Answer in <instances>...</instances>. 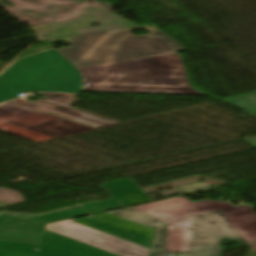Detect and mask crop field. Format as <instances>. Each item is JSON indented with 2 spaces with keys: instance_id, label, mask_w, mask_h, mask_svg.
<instances>
[{
  "instance_id": "crop-field-1",
  "label": "crop field",
  "mask_w": 256,
  "mask_h": 256,
  "mask_svg": "<svg viewBox=\"0 0 256 256\" xmlns=\"http://www.w3.org/2000/svg\"><path fill=\"white\" fill-rule=\"evenodd\" d=\"M109 213L155 229L149 256H221V238L244 245L256 242V215L249 205L191 203L180 196Z\"/></svg>"
},
{
  "instance_id": "crop-field-2",
  "label": "crop field",
  "mask_w": 256,
  "mask_h": 256,
  "mask_svg": "<svg viewBox=\"0 0 256 256\" xmlns=\"http://www.w3.org/2000/svg\"><path fill=\"white\" fill-rule=\"evenodd\" d=\"M86 91L205 95L190 88L178 53L78 69Z\"/></svg>"
},
{
  "instance_id": "crop-field-3",
  "label": "crop field",
  "mask_w": 256,
  "mask_h": 256,
  "mask_svg": "<svg viewBox=\"0 0 256 256\" xmlns=\"http://www.w3.org/2000/svg\"><path fill=\"white\" fill-rule=\"evenodd\" d=\"M143 28L152 34L135 36L129 32ZM60 40L72 41L69 49L58 51L76 68L184 50L153 25L57 38Z\"/></svg>"
},
{
  "instance_id": "crop-field-4",
  "label": "crop field",
  "mask_w": 256,
  "mask_h": 256,
  "mask_svg": "<svg viewBox=\"0 0 256 256\" xmlns=\"http://www.w3.org/2000/svg\"><path fill=\"white\" fill-rule=\"evenodd\" d=\"M79 71L56 49L18 60L0 75V102L35 90L77 93L82 89Z\"/></svg>"
},
{
  "instance_id": "crop-field-5",
  "label": "crop field",
  "mask_w": 256,
  "mask_h": 256,
  "mask_svg": "<svg viewBox=\"0 0 256 256\" xmlns=\"http://www.w3.org/2000/svg\"><path fill=\"white\" fill-rule=\"evenodd\" d=\"M101 186L113 198L30 219L0 214V239L39 243L46 224L151 200L130 178Z\"/></svg>"
},
{
  "instance_id": "crop-field-6",
  "label": "crop field",
  "mask_w": 256,
  "mask_h": 256,
  "mask_svg": "<svg viewBox=\"0 0 256 256\" xmlns=\"http://www.w3.org/2000/svg\"><path fill=\"white\" fill-rule=\"evenodd\" d=\"M38 248L39 251L34 249ZM0 256H118L60 234L44 231L39 244L0 240Z\"/></svg>"
},
{
  "instance_id": "crop-field-7",
  "label": "crop field",
  "mask_w": 256,
  "mask_h": 256,
  "mask_svg": "<svg viewBox=\"0 0 256 256\" xmlns=\"http://www.w3.org/2000/svg\"><path fill=\"white\" fill-rule=\"evenodd\" d=\"M0 120L34 130L53 138L93 129L18 107L13 101L0 105Z\"/></svg>"
},
{
  "instance_id": "crop-field-8",
  "label": "crop field",
  "mask_w": 256,
  "mask_h": 256,
  "mask_svg": "<svg viewBox=\"0 0 256 256\" xmlns=\"http://www.w3.org/2000/svg\"><path fill=\"white\" fill-rule=\"evenodd\" d=\"M46 229L121 256H128L131 253L136 256H148L149 253L146 248L86 228L72 221L53 226L47 225Z\"/></svg>"
},
{
  "instance_id": "crop-field-9",
  "label": "crop field",
  "mask_w": 256,
  "mask_h": 256,
  "mask_svg": "<svg viewBox=\"0 0 256 256\" xmlns=\"http://www.w3.org/2000/svg\"><path fill=\"white\" fill-rule=\"evenodd\" d=\"M14 101L18 106H22L28 109H32L38 112H42L48 115H52L58 118H62L65 120H69L75 123H79V124L94 127V128L119 123L113 120H109V119L88 114L85 112L77 111L74 109L49 103L46 101H38V102H28V101L23 102L21 100H14Z\"/></svg>"
},
{
  "instance_id": "crop-field-10",
  "label": "crop field",
  "mask_w": 256,
  "mask_h": 256,
  "mask_svg": "<svg viewBox=\"0 0 256 256\" xmlns=\"http://www.w3.org/2000/svg\"><path fill=\"white\" fill-rule=\"evenodd\" d=\"M0 130L20 136V137H24L36 142H40V141H44V140H48V139H52L50 137H47L45 135L33 132L31 130L22 128V127H18L9 123H5L0 121Z\"/></svg>"
},
{
  "instance_id": "crop-field-11",
  "label": "crop field",
  "mask_w": 256,
  "mask_h": 256,
  "mask_svg": "<svg viewBox=\"0 0 256 256\" xmlns=\"http://www.w3.org/2000/svg\"><path fill=\"white\" fill-rule=\"evenodd\" d=\"M224 102L256 113V93L224 100Z\"/></svg>"
},
{
  "instance_id": "crop-field-12",
  "label": "crop field",
  "mask_w": 256,
  "mask_h": 256,
  "mask_svg": "<svg viewBox=\"0 0 256 256\" xmlns=\"http://www.w3.org/2000/svg\"><path fill=\"white\" fill-rule=\"evenodd\" d=\"M244 114H248V115H251L253 117H256L255 114H252V113H249L247 111L243 112ZM247 141L254 147L256 148V137L255 138H251V139H247Z\"/></svg>"
},
{
  "instance_id": "crop-field-13",
  "label": "crop field",
  "mask_w": 256,
  "mask_h": 256,
  "mask_svg": "<svg viewBox=\"0 0 256 256\" xmlns=\"http://www.w3.org/2000/svg\"><path fill=\"white\" fill-rule=\"evenodd\" d=\"M248 247L256 248V243H255V244L248 245Z\"/></svg>"
}]
</instances>
